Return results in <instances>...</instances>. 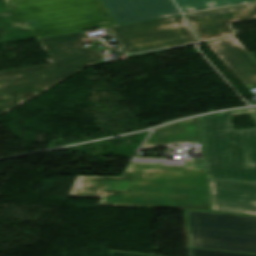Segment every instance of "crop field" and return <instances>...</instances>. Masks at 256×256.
<instances>
[{
    "instance_id": "d9b57169",
    "label": "crop field",
    "mask_w": 256,
    "mask_h": 256,
    "mask_svg": "<svg viewBox=\"0 0 256 256\" xmlns=\"http://www.w3.org/2000/svg\"><path fill=\"white\" fill-rule=\"evenodd\" d=\"M109 253H110V256H149V255L123 253V252H113V251H109Z\"/></svg>"
},
{
    "instance_id": "5142ce71",
    "label": "crop field",
    "mask_w": 256,
    "mask_h": 256,
    "mask_svg": "<svg viewBox=\"0 0 256 256\" xmlns=\"http://www.w3.org/2000/svg\"><path fill=\"white\" fill-rule=\"evenodd\" d=\"M14 25L32 30L37 27V20L33 21H27V22H20V23H14Z\"/></svg>"
},
{
    "instance_id": "dd49c442",
    "label": "crop field",
    "mask_w": 256,
    "mask_h": 256,
    "mask_svg": "<svg viewBox=\"0 0 256 256\" xmlns=\"http://www.w3.org/2000/svg\"><path fill=\"white\" fill-rule=\"evenodd\" d=\"M122 45L121 51L135 53L197 42L182 16L110 27Z\"/></svg>"
},
{
    "instance_id": "e52e79f7",
    "label": "crop field",
    "mask_w": 256,
    "mask_h": 256,
    "mask_svg": "<svg viewBox=\"0 0 256 256\" xmlns=\"http://www.w3.org/2000/svg\"><path fill=\"white\" fill-rule=\"evenodd\" d=\"M212 211L256 216V183L207 177Z\"/></svg>"
},
{
    "instance_id": "412701ff",
    "label": "crop field",
    "mask_w": 256,
    "mask_h": 256,
    "mask_svg": "<svg viewBox=\"0 0 256 256\" xmlns=\"http://www.w3.org/2000/svg\"><path fill=\"white\" fill-rule=\"evenodd\" d=\"M0 12L10 23L38 20L36 38L117 25L101 0H18Z\"/></svg>"
},
{
    "instance_id": "8a807250",
    "label": "crop field",
    "mask_w": 256,
    "mask_h": 256,
    "mask_svg": "<svg viewBox=\"0 0 256 256\" xmlns=\"http://www.w3.org/2000/svg\"><path fill=\"white\" fill-rule=\"evenodd\" d=\"M68 197L98 205L211 210L206 171L195 167L129 165L122 178L77 176Z\"/></svg>"
},
{
    "instance_id": "d1516ede",
    "label": "crop field",
    "mask_w": 256,
    "mask_h": 256,
    "mask_svg": "<svg viewBox=\"0 0 256 256\" xmlns=\"http://www.w3.org/2000/svg\"><path fill=\"white\" fill-rule=\"evenodd\" d=\"M183 13L220 8L255 0H175Z\"/></svg>"
},
{
    "instance_id": "733c2abd",
    "label": "crop field",
    "mask_w": 256,
    "mask_h": 256,
    "mask_svg": "<svg viewBox=\"0 0 256 256\" xmlns=\"http://www.w3.org/2000/svg\"><path fill=\"white\" fill-rule=\"evenodd\" d=\"M230 116L233 115H238V114H244V113H251L249 109H244V110H234V111H229Z\"/></svg>"
},
{
    "instance_id": "ac0d7876",
    "label": "crop field",
    "mask_w": 256,
    "mask_h": 256,
    "mask_svg": "<svg viewBox=\"0 0 256 256\" xmlns=\"http://www.w3.org/2000/svg\"><path fill=\"white\" fill-rule=\"evenodd\" d=\"M84 32L40 38L53 63L0 72V116L81 70L100 65L105 56L84 49Z\"/></svg>"
},
{
    "instance_id": "34b2d1b8",
    "label": "crop field",
    "mask_w": 256,
    "mask_h": 256,
    "mask_svg": "<svg viewBox=\"0 0 256 256\" xmlns=\"http://www.w3.org/2000/svg\"><path fill=\"white\" fill-rule=\"evenodd\" d=\"M199 121L207 176L256 182V128L231 130L228 111Z\"/></svg>"
},
{
    "instance_id": "f4fd0767",
    "label": "crop field",
    "mask_w": 256,
    "mask_h": 256,
    "mask_svg": "<svg viewBox=\"0 0 256 256\" xmlns=\"http://www.w3.org/2000/svg\"><path fill=\"white\" fill-rule=\"evenodd\" d=\"M190 247L256 254V217L185 210Z\"/></svg>"
},
{
    "instance_id": "28ad6ade",
    "label": "crop field",
    "mask_w": 256,
    "mask_h": 256,
    "mask_svg": "<svg viewBox=\"0 0 256 256\" xmlns=\"http://www.w3.org/2000/svg\"><path fill=\"white\" fill-rule=\"evenodd\" d=\"M207 44L246 88L256 86V78L219 41Z\"/></svg>"
},
{
    "instance_id": "d8731c3e",
    "label": "crop field",
    "mask_w": 256,
    "mask_h": 256,
    "mask_svg": "<svg viewBox=\"0 0 256 256\" xmlns=\"http://www.w3.org/2000/svg\"><path fill=\"white\" fill-rule=\"evenodd\" d=\"M201 42L236 35L230 22L256 18V4L186 15Z\"/></svg>"
},
{
    "instance_id": "cbeb9de0",
    "label": "crop field",
    "mask_w": 256,
    "mask_h": 256,
    "mask_svg": "<svg viewBox=\"0 0 256 256\" xmlns=\"http://www.w3.org/2000/svg\"><path fill=\"white\" fill-rule=\"evenodd\" d=\"M191 256H256V255L191 248Z\"/></svg>"
},
{
    "instance_id": "4a817a6b",
    "label": "crop field",
    "mask_w": 256,
    "mask_h": 256,
    "mask_svg": "<svg viewBox=\"0 0 256 256\" xmlns=\"http://www.w3.org/2000/svg\"><path fill=\"white\" fill-rule=\"evenodd\" d=\"M254 57H255V59H256V52H254V53H251Z\"/></svg>"
},
{
    "instance_id": "5a996713",
    "label": "crop field",
    "mask_w": 256,
    "mask_h": 256,
    "mask_svg": "<svg viewBox=\"0 0 256 256\" xmlns=\"http://www.w3.org/2000/svg\"><path fill=\"white\" fill-rule=\"evenodd\" d=\"M118 25L179 15L171 0H102Z\"/></svg>"
},
{
    "instance_id": "bc2a9ffb",
    "label": "crop field",
    "mask_w": 256,
    "mask_h": 256,
    "mask_svg": "<svg viewBox=\"0 0 256 256\" xmlns=\"http://www.w3.org/2000/svg\"><path fill=\"white\" fill-rule=\"evenodd\" d=\"M6 1H9V0H6Z\"/></svg>"
},
{
    "instance_id": "3316defc",
    "label": "crop field",
    "mask_w": 256,
    "mask_h": 256,
    "mask_svg": "<svg viewBox=\"0 0 256 256\" xmlns=\"http://www.w3.org/2000/svg\"><path fill=\"white\" fill-rule=\"evenodd\" d=\"M201 139L198 118L182 121L155 130L142 148Z\"/></svg>"
},
{
    "instance_id": "22f410ed",
    "label": "crop field",
    "mask_w": 256,
    "mask_h": 256,
    "mask_svg": "<svg viewBox=\"0 0 256 256\" xmlns=\"http://www.w3.org/2000/svg\"><path fill=\"white\" fill-rule=\"evenodd\" d=\"M220 42L256 77V60L235 36Z\"/></svg>"
}]
</instances>
